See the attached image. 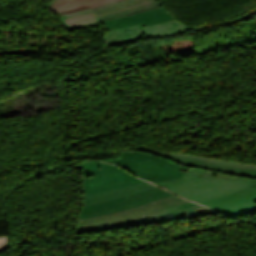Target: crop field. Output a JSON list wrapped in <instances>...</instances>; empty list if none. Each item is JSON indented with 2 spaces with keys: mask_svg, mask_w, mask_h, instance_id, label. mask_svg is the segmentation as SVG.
Instances as JSON below:
<instances>
[{
  "mask_svg": "<svg viewBox=\"0 0 256 256\" xmlns=\"http://www.w3.org/2000/svg\"><path fill=\"white\" fill-rule=\"evenodd\" d=\"M215 213L202 205L191 203L177 196L158 200L99 217L78 220L75 233L129 227L135 224L167 221Z\"/></svg>",
  "mask_w": 256,
  "mask_h": 256,
  "instance_id": "obj_1",
  "label": "crop field"
},
{
  "mask_svg": "<svg viewBox=\"0 0 256 256\" xmlns=\"http://www.w3.org/2000/svg\"><path fill=\"white\" fill-rule=\"evenodd\" d=\"M255 182L250 178L188 168L183 177L156 184L164 188L169 187L168 190L197 201L241 190L255 184Z\"/></svg>",
  "mask_w": 256,
  "mask_h": 256,
  "instance_id": "obj_2",
  "label": "crop field"
},
{
  "mask_svg": "<svg viewBox=\"0 0 256 256\" xmlns=\"http://www.w3.org/2000/svg\"><path fill=\"white\" fill-rule=\"evenodd\" d=\"M159 0H118L62 15H58L65 29L88 27L101 24L99 20L159 7Z\"/></svg>",
  "mask_w": 256,
  "mask_h": 256,
  "instance_id": "obj_3",
  "label": "crop field"
},
{
  "mask_svg": "<svg viewBox=\"0 0 256 256\" xmlns=\"http://www.w3.org/2000/svg\"><path fill=\"white\" fill-rule=\"evenodd\" d=\"M121 158L105 160L132 171L137 176L156 183L181 177L186 167L174 164L160 156L140 151L120 152Z\"/></svg>",
  "mask_w": 256,
  "mask_h": 256,
  "instance_id": "obj_4",
  "label": "crop field"
},
{
  "mask_svg": "<svg viewBox=\"0 0 256 256\" xmlns=\"http://www.w3.org/2000/svg\"><path fill=\"white\" fill-rule=\"evenodd\" d=\"M242 20H250V16L243 14L231 20L200 26V27H189L177 20H172L168 22H164L155 26L145 27L144 23L136 26L116 29L112 31H108L103 37V41L105 44H119L126 43L138 40L140 38H160L168 35H172L175 33H179L182 31L194 29L195 31L205 30L209 28H213L215 26L221 24L232 25L234 23L240 22Z\"/></svg>",
  "mask_w": 256,
  "mask_h": 256,
  "instance_id": "obj_5",
  "label": "crop field"
},
{
  "mask_svg": "<svg viewBox=\"0 0 256 256\" xmlns=\"http://www.w3.org/2000/svg\"><path fill=\"white\" fill-rule=\"evenodd\" d=\"M139 150L148 152V153L157 154L164 158L174 159L183 163L206 167V168H209L210 170L217 171V172L229 173V174L251 177V178L256 177V165H250V164H244V163H238V162H232V161H226V160H220V159H214V158H207V157H201V156H195V155H189V154H183V153H177V152H164V151H160V150H156L148 147H142V146H140Z\"/></svg>",
  "mask_w": 256,
  "mask_h": 256,
  "instance_id": "obj_6",
  "label": "crop field"
},
{
  "mask_svg": "<svg viewBox=\"0 0 256 256\" xmlns=\"http://www.w3.org/2000/svg\"><path fill=\"white\" fill-rule=\"evenodd\" d=\"M169 196H174V194L158 187L148 189L125 197L82 206L78 219L99 216L139 205H144L148 202Z\"/></svg>",
  "mask_w": 256,
  "mask_h": 256,
  "instance_id": "obj_7",
  "label": "crop field"
},
{
  "mask_svg": "<svg viewBox=\"0 0 256 256\" xmlns=\"http://www.w3.org/2000/svg\"><path fill=\"white\" fill-rule=\"evenodd\" d=\"M253 179L256 181V178ZM197 203L234 215L256 211V184L241 191L198 201Z\"/></svg>",
  "mask_w": 256,
  "mask_h": 256,
  "instance_id": "obj_8",
  "label": "crop field"
},
{
  "mask_svg": "<svg viewBox=\"0 0 256 256\" xmlns=\"http://www.w3.org/2000/svg\"><path fill=\"white\" fill-rule=\"evenodd\" d=\"M174 19L173 16L169 13V11L161 6L156 9L128 15L121 18H115L111 20L101 21L108 30L127 27L139 23L145 22L146 26L155 25L164 21Z\"/></svg>",
  "mask_w": 256,
  "mask_h": 256,
  "instance_id": "obj_9",
  "label": "crop field"
},
{
  "mask_svg": "<svg viewBox=\"0 0 256 256\" xmlns=\"http://www.w3.org/2000/svg\"><path fill=\"white\" fill-rule=\"evenodd\" d=\"M144 182L128 172L84 178V195Z\"/></svg>",
  "mask_w": 256,
  "mask_h": 256,
  "instance_id": "obj_10",
  "label": "crop field"
},
{
  "mask_svg": "<svg viewBox=\"0 0 256 256\" xmlns=\"http://www.w3.org/2000/svg\"><path fill=\"white\" fill-rule=\"evenodd\" d=\"M152 187H156V186L151 183L144 182V183L133 185V186L119 188L113 191L87 195V196H84V202L82 205L125 196L128 194L135 193V192L152 188Z\"/></svg>",
  "mask_w": 256,
  "mask_h": 256,
  "instance_id": "obj_11",
  "label": "crop field"
},
{
  "mask_svg": "<svg viewBox=\"0 0 256 256\" xmlns=\"http://www.w3.org/2000/svg\"><path fill=\"white\" fill-rule=\"evenodd\" d=\"M114 0H53L48 6L56 15Z\"/></svg>",
  "mask_w": 256,
  "mask_h": 256,
  "instance_id": "obj_12",
  "label": "crop field"
},
{
  "mask_svg": "<svg viewBox=\"0 0 256 256\" xmlns=\"http://www.w3.org/2000/svg\"><path fill=\"white\" fill-rule=\"evenodd\" d=\"M84 177H91L97 175H104L115 172L126 171L112 164L100 163V162H87L82 163Z\"/></svg>",
  "mask_w": 256,
  "mask_h": 256,
  "instance_id": "obj_13",
  "label": "crop field"
},
{
  "mask_svg": "<svg viewBox=\"0 0 256 256\" xmlns=\"http://www.w3.org/2000/svg\"><path fill=\"white\" fill-rule=\"evenodd\" d=\"M19 53H38V50H37V48L16 49V50H0L1 55H11V54H19Z\"/></svg>",
  "mask_w": 256,
  "mask_h": 256,
  "instance_id": "obj_14",
  "label": "crop field"
},
{
  "mask_svg": "<svg viewBox=\"0 0 256 256\" xmlns=\"http://www.w3.org/2000/svg\"><path fill=\"white\" fill-rule=\"evenodd\" d=\"M6 246H8L7 236L3 237V238H0V249L3 248V247H6Z\"/></svg>",
  "mask_w": 256,
  "mask_h": 256,
  "instance_id": "obj_15",
  "label": "crop field"
},
{
  "mask_svg": "<svg viewBox=\"0 0 256 256\" xmlns=\"http://www.w3.org/2000/svg\"><path fill=\"white\" fill-rule=\"evenodd\" d=\"M254 2L256 3V0H254ZM246 14L250 15L253 19L256 20V8L247 12Z\"/></svg>",
  "mask_w": 256,
  "mask_h": 256,
  "instance_id": "obj_16",
  "label": "crop field"
}]
</instances>
